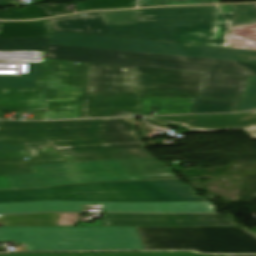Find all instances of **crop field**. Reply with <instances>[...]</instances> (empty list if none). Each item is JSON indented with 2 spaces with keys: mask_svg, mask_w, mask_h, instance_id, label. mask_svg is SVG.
<instances>
[{
  "mask_svg": "<svg viewBox=\"0 0 256 256\" xmlns=\"http://www.w3.org/2000/svg\"><path fill=\"white\" fill-rule=\"evenodd\" d=\"M140 96L133 67L91 64L85 97Z\"/></svg>",
  "mask_w": 256,
  "mask_h": 256,
  "instance_id": "cbeb9de0",
  "label": "crop field"
},
{
  "mask_svg": "<svg viewBox=\"0 0 256 256\" xmlns=\"http://www.w3.org/2000/svg\"><path fill=\"white\" fill-rule=\"evenodd\" d=\"M213 3H219V0H141L140 7L195 5V4H213Z\"/></svg>",
  "mask_w": 256,
  "mask_h": 256,
  "instance_id": "d3111659",
  "label": "crop field"
},
{
  "mask_svg": "<svg viewBox=\"0 0 256 256\" xmlns=\"http://www.w3.org/2000/svg\"><path fill=\"white\" fill-rule=\"evenodd\" d=\"M50 38L0 39V51H47Z\"/></svg>",
  "mask_w": 256,
  "mask_h": 256,
  "instance_id": "4177f3b9",
  "label": "crop field"
},
{
  "mask_svg": "<svg viewBox=\"0 0 256 256\" xmlns=\"http://www.w3.org/2000/svg\"><path fill=\"white\" fill-rule=\"evenodd\" d=\"M217 6L102 12L112 36L210 45Z\"/></svg>",
  "mask_w": 256,
  "mask_h": 256,
  "instance_id": "34b2d1b8",
  "label": "crop field"
},
{
  "mask_svg": "<svg viewBox=\"0 0 256 256\" xmlns=\"http://www.w3.org/2000/svg\"><path fill=\"white\" fill-rule=\"evenodd\" d=\"M256 108V78L248 77L247 87L239 111Z\"/></svg>",
  "mask_w": 256,
  "mask_h": 256,
  "instance_id": "750c4746",
  "label": "crop field"
},
{
  "mask_svg": "<svg viewBox=\"0 0 256 256\" xmlns=\"http://www.w3.org/2000/svg\"><path fill=\"white\" fill-rule=\"evenodd\" d=\"M27 251L144 250L135 227H0V242Z\"/></svg>",
  "mask_w": 256,
  "mask_h": 256,
  "instance_id": "dd49c442",
  "label": "crop field"
},
{
  "mask_svg": "<svg viewBox=\"0 0 256 256\" xmlns=\"http://www.w3.org/2000/svg\"><path fill=\"white\" fill-rule=\"evenodd\" d=\"M250 62H256L255 60H249Z\"/></svg>",
  "mask_w": 256,
  "mask_h": 256,
  "instance_id": "c035e120",
  "label": "crop field"
},
{
  "mask_svg": "<svg viewBox=\"0 0 256 256\" xmlns=\"http://www.w3.org/2000/svg\"><path fill=\"white\" fill-rule=\"evenodd\" d=\"M95 254H115V253H95Z\"/></svg>",
  "mask_w": 256,
  "mask_h": 256,
  "instance_id": "b80d0937",
  "label": "crop field"
},
{
  "mask_svg": "<svg viewBox=\"0 0 256 256\" xmlns=\"http://www.w3.org/2000/svg\"><path fill=\"white\" fill-rule=\"evenodd\" d=\"M1 113H2V111L0 110V117H1Z\"/></svg>",
  "mask_w": 256,
  "mask_h": 256,
  "instance_id": "c21b1889",
  "label": "crop field"
},
{
  "mask_svg": "<svg viewBox=\"0 0 256 256\" xmlns=\"http://www.w3.org/2000/svg\"><path fill=\"white\" fill-rule=\"evenodd\" d=\"M144 116L140 98H85L81 118Z\"/></svg>",
  "mask_w": 256,
  "mask_h": 256,
  "instance_id": "733c2abd",
  "label": "crop field"
},
{
  "mask_svg": "<svg viewBox=\"0 0 256 256\" xmlns=\"http://www.w3.org/2000/svg\"><path fill=\"white\" fill-rule=\"evenodd\" d=\"M53 30L48 20L33 22H0V38L50 37Z\"/></svg>",
  "mask_w": 256,
  "mask_h": 256,
  "instance_id": "214f88e0",
  "label": "crop field"
},
{
  "mask_svg": "<svg viewBox=\"0 0 256 256\" xmlns=\"http://www.w3.org/2000/svg\"><path fill=\"white\" fill-rule=\"evenodd\" d=\"M0 150H23L22 146L0 144Z\"/></svg>",
  "mask_w": 256,
  "mask_h": 256,
  "instance_id": "d32e631a",
  "label": "crop field"
},
{
  "mask_svg": "<svg viewBox=\"0 0 256 256\" xmlns=\"http://www.w3.org/2000/svg\"><path fill=\"white\" fill-rule=\"evenodd\" d=\"M38 1H45V0H38Z\"/></svg>",
  "mask_w": 256,
  "mask_h": 256,
  "instance_id": "b54c1fbb",
  "label": "crop field"
},
{
  "mask_svg": "<svg viewBox=\"0 0 256 256\" xmlns=\"http://www.w3.org/2000/svg\"><path fill=\"white\" fill-rule=\"evenodd\" d=\"M29 160L0 159V176L34 172L31 165L70 162L50 144L23 146Z\"/></svg>",
  "mask_w": 256,
  "mask_h": 256,
  "instance_id": "d9b57169",
  "label": "crop field"
},
{
  "mask_svg": "<svg viewBox=\"0 0 256 256\" xmlns=\"http://www.w3.org/2000/svg\"><path fill=\"white\" fill-rule=\"evenodd\" d=\"M37 200L163 202L207 201L178 180L85 184L28 190L0 191L1 202Z\"/></svg>",
  "mask_w": 256,
  "mask_h": 256,
  "instance_id": "f4fd0767",
  "label": "crop field"
},
{
  "mask_svg": "<svg viewBox=\"0 0 256 256\" xmlns=\"http://www.w3.org/2000/svg\"><path fill=\"white\" fill-rule=\"evenodd\" d=\"M71 162L152 157L145 148L63 154Z\"/></svg>",
  "mask_w": 256,
  "mask_h": 256,
  "instance_id": "92a150f3",
  "label": "crop field"
},
{
  "mask_svg": "<svg viewBox=\"0 0 256 256\" xmlns=\"http://www.w3.org/2000/svg\"><path fill=\"white\" fill-rule=\"evenodd\" d=\"M51 8L53 9V11L56 14V16L67 14V12L63 8V6H61L59 4L51 5Z\"/></svg>",
  "mask_w": 256,
  "mask_h": 256,
  "instance_id": "120bbe31",
  "label": "crop field"
},
{
  "mask_svg": "<svg viewBox=\"0 0 256 256\" xmlns=\"http://www.w3.org/2000/svg\"><path fill=\"white\" fill-rule=\"evenodd\" d=\"M38 8L44 14L45 17L54 16L50 8H47V7H38Z\"/></svg>",
  "mask_w": 256,
  "mask_h": 256,
  "instance_id": "028f5c9d",
  "label": "crop field"
},
{
  "mask_svg": "<svg viewBox=\"0 0 256 256\" xmlns=\"http://www.w3.org/2000/svg\"><path fill=\"white\" fill-rule=\"evenodd\" d=\"M49 44L241 62H249L248 59H256V51L253 50L229 49L197 45H193L192 48H186L182 47L180 43L173 42L102 37L58 31L53 32Z\"/></svg>",
  "mask_w": 256,
  "mask_h": 256,
  "instance_id": "d8731c3e",
  "label": "crop field"
},
{
  "mask_svg": "<svg viewBox=\"0 0 256 256\" xmlns=\"http://www.w3.org/2000/svg\"><path fill=\"white\" fill-rule=\"evenodd\" d=\"M2 157H27L24 151H0Z\"/></svg>",
  "mask_w": 256,
  "mask_h": 256,
  "instance_id": "1d83c4d3",
  "label": "crop field"
},
{
  "mask_svg": "<svg viewBox=\"0 0 256 256\" xmlns=\"http://www.w3.org/2000/svg\"><path fill=\"white\" fill-rule=\"evenodd\" d=\"M256 24V4L220 5L212 32L211 45L227 47L230 27Z\"/></svg>",
  "mask_w": 256,
  "mask_h": 256,
  "instance_id": "5142ce71",
  "label": "crop field"
},
{
  "mask_svg": "<svg viewBox=\"0 0 256 256\" xmlns=\"http://www.w3.org/2000/svg\"><path fill=\"white\" fill-rule=\"evenodd\" d=\"M128 180L176 178L167 166L155 158L109 161Z\"/></svg>",
  "mask_w": 256,
  "mask_h": 256,
  "instance_id": "4a817a6b",
  "label": "crop field"
},
{
  "mask_svg": "<svg viewBox=\"0 0 256 256\" xmlns=\"http://www.w3.org/2000/svg\"><path fill=\"white\" fill-rule=\"evenodd\" d=\"M44 17L37 7H29L22 10H5L0 12V19L20 20Z\"/></svg>",
  "mask_w": 256,
  "mask_h": 256,
  "instance_id": "ae1a2a85",
  "label": "crop field"
},
{
  "mask_svg": "<svg viewBox=\"0 0 256 256\" xmlns=\"http://www.w3.org/2000/svg\"><path fill=\"white\" fill-rule=\"evenodd\" d=\"M104 203V212H215L211 202L120 203L79 201H38L1 203L0 214L44 211H81L82 204Z\"/></svg>",
  "mask_w": 256,
  "mask_h": 256,
  "instance_id": "28ad6ade",
  "label": "crop field"
},
{
  "mask_svg": "<svg viewBox=\"0 0 256 256\" xmlns=\"http://www.w3.org/2000/svg\"><path fill=\"white\" fill-rule=\"evenodd\" d=\"M0 256H217L200 255L193 252H117L116 255H94L84 253H18L4 254Z\"/></svg>",
  "mask_w": 256,
  "mask_h": 256,
  "instance_id": "00972430",
  "label": "crop field"
},
{
  "mask_svg": "<svg viewBox=\"0 0 256 256\" xmlns=\"http://www.w3.org/2000/svg\"><path fill=\"white\" fill-rule=\"evenodd\" d=\"M182 46L192 47V45H190V44H182Z\"/></svg>",
  "mask_w": 256,
  "mask_h": 256,
  "instance_id": "0bd39190",
  "label": "crop field"
},
{
  "mask_svg": "<svg viewBox=\"0 0 256 256\" xmlns=\"http://www.w3.org/2000/svg\"><path fill=\"white\" fill-rule=\"evenodd\" d=\"M10 4H11L10 0H3L2 7L6 6V5H10Z\"/></svg>",
  "mask_w": 256,
  "mask_h": 256,
  "instance_id": "e1f06a70",
  "label": "crop field"
},
{
  "mask_svg": "<svg viewBox=\"0 0 256 256\" xmlns=\"http://www.w3.org/2000/svg\"><path fill=\"white\" fill-rule=\"evenodd\" d=\"M134 68L141 96L166 95L141 98L146 115L190 114L193 99L168 96L199 98L205 73Z\"/></svg>",
  "mask_w": 256,
  "mask_h": 256,
  "instance_id": "5a996713",
  "label": "crop field"
},
{
  "mask_svg": "<svg viewBox=\"0 0 256 256\" xmlns=\"http://www.w3.org/2000/svg\"><path fill=\"white\" fill-rule=\"evenodd\" d=\"M47 52H0V62H43Z\"/></svg>",
  "mask_w": 256,
  "mask_h": 256,
  "instance_id": "eef30255",
  "label": "crop field"
},
{
  "mask_svg": "<svg viewBox=\"0 0 256 256\" xmlns=\"http://www.w3.org/2000/svg\"><path fill=\"white\" fill-rule=\"evenodd\" d=\"M44 60L35 89L0 88V109L46 110L45 120L78 118L88 63Z\"/></svg>",
  "mask_w": 256,
  "mask_h": 256,
  "instance_id": "412701ff",
  "label": "crop field"
},
{
  "mask_svg": "<svg viewBox=\"0 0 256 256\" xmlns=\"http://www.w3.org/2000/svg\"><path fill=\"white\" fill-rule=\"evenodd\" d=\"M146 119L165 126H185L193 132L244 129L251 139H256V111L241 114L147 117Z\"/></svg>",
  "mask_w": 256,
  "mask_h": 256,
  "instance_id": "22f410ed",
  "label": "crop field"
},
{
  "mask_svg": "<svg viewBox=\"0 0 256 256\" xmlns=\"http://www.w3.org/2000/svg\"><path fill=\"white\" fill-rule=\"evenodd\" d=\"M76 226H211L244 227L236 225L232 214H102L95 224L77 223Z\"/></svg>",
  "mask_w": 256,
  "mask_h": 256,
  "instance_id": "d1516ede",
  "label": "crop field"
},
{
  "mask_svg": "<svg viewBox=\"0 0 256 256\" xmlns=\"http://www.w3.org/2000/svg\"><path fill=\"white\" fill-rule=\"evenodd\" d=\"M145 249L256 253V236L243 228L136 227Z\"/></svg>",
  "mask_w": 256,
  "mask_h": 256,
  "instance_id": "e52e79f7",
  "label": "crop field"
},
{
  "mask_svg": "<svg viewBox=\"0 0 256 256\" xmlns=\"http://www.w3.org/2000/svg\"><path fill=\"white\" fill-rule=\"evenodd\" d=\"M82 213H61L57 226H74Z\"/></svg>",
  "mask_w": 256,
  "mask_h": 256,
  "instance_id": "bd1437ed",
  "label": "crop field"
},
{
  "mask_svg": "<svg viewBox=\"0 0 256 256\" xmlns=\"http://www.w3.org/2000/svg\"><path fill=\"white\" fill-rule=\"evenodd\" d=\"M134 118L21 122L0 120V143H50L61 153L148 147L133 127Z\"/></svg>",
  "mask_w": 256,
  "mask_h": 256,
  "instance_id": "ac0d7876",
  "label": "crop field"
},
{
  "mask_svg": "<svg viewBox=\"0 0 256 256\" xmlns=\"http://www.w3.org/2000/svg\"><path fill=\"white\" fill-rule=\"evenodd\" d=\"M53 30L107 36L109 29L100 12L49 20Z\"/></svg>",
  "mask_w": 256,
  "mask_h": 256,
  "instance_id": "bc2a9ffb",
  "label": "crop field"
},
{
  "mask_svg": "<svg viewBox=\"0 0 256 256\" xmlns=\"http://www.w3.org/2000/svg\"><path fill=\"white\" fill-rule=\"evenodd\" d=\"M42 63H28L27 74L21 76L0 75V87L34 88Z\"/></svg>",
  "mask_w": 256,
  "mask_h": 256,
  "instance_id": "a9b5d70f",
  "label": "crop field"
},
{
  "mask_svg": "<svg viewBox=\"0 0 256 256\" xmlns=\"http://www.w3.org/2000/svg\"><path fill=\"white\" fill-rule=\"evenodd\" d=\"M1 2H2V0H0V6H1Z\"/></svg>",
  "mask_w": 256,
  "mask_h": 256,
  "instance_id": "03da06ac",
  "label": "crop field"
},
{
  "mask_svg": "<svg viewBox=\"0 0 256 256\" xmlns=\"http://www.w3.org/2000/svg\"><path fill=\"white\" fill-rule=\"evenodd\" d=\"M0 188H11L6 176L0 177Z\"/></svg>",
  "mask_w": 256,
  "mask_h": 256,
  "instance_id": "5866460e",
  "label": "crop field"
},
{
  "mask_svg": "<svg viewBox=\"0 0 256 256\" xmlns=\"http://www.w3.org/2000/svg\"><path fill=\"white\" fill-rule=\"evenodd\" d=\"M35 173L7 176L12 188L127 180L108 161L33 166Z\"/></svg>",
  "mask_w": 256,
  "mask_h": 256,
  "instance_id": "3316defc",
  "label": "crop field"
},
{
  "mask_svg": "<svg viewBox=\"0 0 256 256\" xmlns=\"http://www.w3.org/2000/svg\"><path fill=\"white\" fill-rule=\"evenodd\" d=\"M60 213L0 216L7 226H56Z\"/></svg>",
  "mask_w": 256,
  "mask_h": 256,
  "instance_id": "dafd665d",
  "label": "crop field"
},
{
  "mask_svg": "<svg viewBox=\"0 0 256 256\" xmlns=\"http://www.w3.org/2000/svg\"><path fill=\"white\" fill-rule=\"evenodd\" d=\"M78 11L136 7L137 0H87L74 2Z\"/></svg>",
  "mask_w": 256,
  "mask_h": 256,
  "instance_id": "730fd06b",
  "label": "crop field"
},
{
  "mask_svg": "<svg viewBox=\"0 0 256 256\" xmlns=\"http://www.w3.org/2000/svg\"><path fill=\"white\" fill-rule=\"evenodd\" d=\"M45 59L206 72L200 98L235 100V102H228L194 99L191 114L236 112L245 88L246 76L256 77V63L102 49L49 45Z\"/></svg>",
  "mask_w": 256,
  "mask_h": 256,
  "instance_id": "8a807250",
  "label": "crop field"
}]
</instances>
